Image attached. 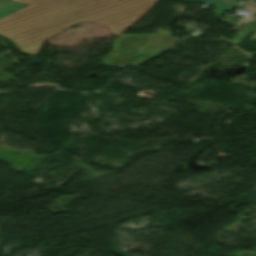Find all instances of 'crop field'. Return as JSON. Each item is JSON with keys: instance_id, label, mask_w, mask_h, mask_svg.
<instances>
[{"instance_id": "obj_2", "label": "crop field", "mask_w": 256, "mask_h": 256, "mask_svg": "<svg viewBox=\"0 0 256 256\" xmlns=\"http://www.w3.org/2000/svg\"><path fill=\"white\" fill-rule=\"evenodd\" d=\"M156 35H121L114 40L113 50L101 62L109 66H136L159 53H145Z\"/></svg>"}, {"instance_id": "obj_5", "label": "crop field", "mask_w": 256, "mask_h": 256, "mask_svg": "<svg viewBox=\"0 0 256 256\" xmlns=\"http://www.w3.org/2000/svg\"><path fill=\"white\" fill-rule=\"evenodd\" d=\"M181 1H186V2L197 1V2H201V3H206V4H211L213 6H217L215 11L218 15L222 14L226 10L232 9L234 6L237 5V3L227 2V1H223V0H181Z\"/></svg>"}, {"instance_id": "obj_8", "label": "crop field", "mask_w": 256, "mask_h": 256, "mask_svg": "<svg viewBox=\"0 0 256 256\" xmlns=\"http://www.w3.org/2000/svg\"><path fill=\"white\" fill-rule=\"evenodd\" d=\"M231 1H237V2H240V1H242V0H231Z\"/></svg>"}, {"instance_id": "obj_4", "label": "crop field", "mask_w": 256, "mask_h": 256, "mask_svg": "<svg viewBox=\"0 0 256 256\" xmlns=\"http://www.w3.org/2000/svg\"><path fill=\"white\" fill-rule=\"evenodd\" d=\"M238 8L246 9L252 12V15L248 18H245L239 21V23L247 24V25L230 41L235 45L238 42H240L243 38H245L249 33H251L253 30L256 29V7L241 4ZM251 23H254V24L251 25Z\"/></svg>"}, {"instance_id": "obj_3", "label": "crop field", "mask_w": 256, "mask_h": 256, "mask_svg": "<svg viewBox=\"0 0 256 256\" xmlns=\"http://www.w3.org/2000/svg\"><path fill=\"white\" fill-rule=\"evenodd\" d=\"M179 40L171 38V30H158L155 42L145 52H163Z\"/></svg>"}, {"instance_id": "obj_1", "label": "crop field", "mask_w": 256, "mask_h": 256, "mask_svg": "<svg viewBox=\"0 0 256 256\" xmlns=\"http://www.w3.org/2000/svg\"><path fill=\"white\" fill-rule=\"evenodd\" d=\"M12 1L29 5L0 19V35L36 55L46 38L82 20L106 25L119 36L159 0Z\"/></svg>"}, {"instance_id": "obj_6", "label": "crop field", "mask_w": 256, "mask_h": 256, "mask_svg": "<svg viewBox=\"0 0 256 256\" xmlns=\"http://www.w3.org/2000/svg\"><path fill=\"white\" fill-rule=\"evenodd\" d=\"M24 6H26V5L12 2L9 0H0V18L3 16H6Z\"/></svg>"}, {"instance_id": "obj_7", "label": "crop field", "mask_w": 256, "mask_h": 256, "mask_svg": "<svg viewBox=\"0 0 256 256\" xmlns=\"http://www.w3.org/2000/svg\"><path fill=\"white\" fill-rule=\"evenodd\" d=\"M254 39H256V33L249 40H254Z\"/></svg>"}, {"instance_id": "obj_9", "label": "crop field", "mask_w": 256, "mask_h": 256, "mask_svg": "<svg viewBox=\"0 0 256 256\" xmlns=\"http://www.w3.org/2000/svg\"><path fill=\"white\" fill-rule=\"evenodd\" d=\"M254 113H256V111H254Z\"/></svg>"}]
</instances>
